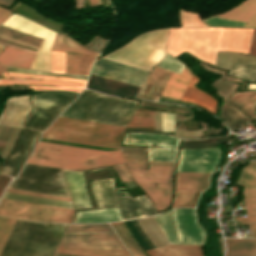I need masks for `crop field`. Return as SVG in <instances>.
I'll use <instances>...</instances> for the list:
<instances>
[{
    "instance_id": "8a807250",
    "label": "crop field",
    "mask_w": 256,
    "mask_h": 256,
    "mask_svg": "<svg viewBox=\"0 0 256 256\" xmlns=\"http://www.w3.org/2000/svg\"><path fill=\"white\" fill-rule=\"evenodd\" d=\"M253 29L175 28L171 29L167 52L177 57L188 51L214 65L217 50L247 53Z\"/></svg>"
},
{
    "instance_id": "ac0d7876",
    "label": "crop field",
    "mask_w": 256,
    "mask_h": 256,
    "mask_svg": "<svg viewBox=\"0 0 256 256\" xmlns=\"http://www.w3.org/2000/svg\"><path fill=\"white\" fill-rule=\"evenodd\" d=\"M30 163L79 170L124 163L120 150L103 151L38 142Z\"/></svg>"
},
{
    "instance_id": "34b2d1b8",
    "label": "crop field",
    "mask_w": 256,
    "mask_h": 256,
    "mask_svg": "<svg viewBox=\"0 0 256 256\" xmlns=\"http://www.w3.org/2000/svg\"><path fill=\"white\" fill-rule=\"evenodd\" d=\"M137 103L84 90L60 116L126 126Z\"/></svg>"
},
{
    "instance_id": "412701ff",
    "label": "crop field",
    "mask_w": 256,
    "mask_h": 256,
    "mask_svg": "<svg viewBox=\"0 0 256 256\" xmlns=\"http://www.w3.org/2000/svg\"><path fill=\"white\" fill-rule=\"evenodd\" d=\"M125 127L58 117L42 138L119 149Z\"/></svg>"
},
{
    "instance_id": "f4fd0767",
    "label": "crop field",
    "mask_w": 256,
    "mask_h": 256,
    "mask_svg": "<svg viewBox=\"0 0 256 256\" xmlns=\"http://www.w3.org/2000/svg\"><path fill=\"white\" fill-rule=\"evenodd\" d=\"M168 29L146 33L103 59L151 70L163 57Z\"/></svg>"
},
{
    "instance_id": "dd49c442",
    "label": "crop field",
    "mask_w": 256,
    "mask_h": 256,
    "mask_svg": "<svg viewBox=\"0 0 256 256\" xmlns=\"http://www.w3.org/2000/svg\"><path fill=\"white\" fill-rule=\"evenodd\" d=\"M11 189L69 197L61 169L25 164Z\"/></svg>"
},
{
    "instance_id": "e52e79f7",
    "label": "crop field",
    "mask_w": 256,
    "mask_h": 256,
    "mask_svg": "<svg viewBox=\"0 0 256 256\" xmlns=\"http://www.w3.org/2000/svg\"><path fill=\"white\" fill-rule=\"evenodd\" d=\"M172 213L179 242L170 211L154 215L170 244L202 245L204 234L203 229L197 224L195 210L176 209L172 210Z\"/></svg>"
},
{
    "instance_id": "d8731c3e",
    "label": "crop field",
    "mask_w": 256,
    "mask_h": 256,
    "mask_svg": "<svg viewBox=\"0 0 256 256\" xmlns=\"http://www.w3.org/2000/svg\"><path fill=\"white\" fill-rule=\"evenodd\" d=\"M73 214L74 210L70 208L5 199H2L0 202V215L2 216L46 222H71Z\"/></svg>"
},
{
    "instance_id": "5a996713",
    "label": "crop field",
    "mask_w": 256,
    "mask_h": 256,
    "mask_svg": "<svg viewBox=\"0 0 256 256\" xmlns=\"http://www.w3.org/2000/svg\"><path fill=\"white\" fill-rule=\"evenodd\" d=\"M2 25L44 39L30 68L51 71V46L55 31L42 27L17 14H12Z\"/></svg>"
},
{
    "instance_id": "3316defc",
    "label": "crop field",
    "mask_w": 256,
    "mask_h": 256,
    "mask_svg": "<svg viewBox=\"0 0 256 256\" xmlns=\"http://www.w3.org/2000/svg\"><path fill=\"white\" fill-rule=\"evenodd\" d=\"M128 167H142L129 169L135 181L159 182L172 184L174 167L149 165L147 171L146 155L122 153Z\"/></svg>"
},
{
    "instance_id": "28ad6ade",
    "label": "crop field",
    "mask_w": 256,
    "mask_h": 256,
    "mask_svg": "<svg viewBox=\"0 0 256 256\" xmlns=\"http://www.w3.org/2000/svg\"><path fill=\"white\" fill-rule=\"evenodd\" d=\"M226 103L239 108L242 112L255 118L256 91L234 94L226 101ZM221 118L231 129L242 124L244 121L249 120L247 116L226 104L221 107Z\"/></svg>"
},
{
    "instance_id": "d1516ede",
    "label": "crop field",
    "mask_w": 256,
    "mask_h": 256,
    "mask_svg": "<svg viewBox=\"0 0 256 256\" xmlns=\"http://www.w3.org/2000/svg\"><path fill=\"white\" fill-rule=\"evenodd\" d=\"M238 184L245 187L247 217H235L236 225H249L253 237H256V161L244 168Z\"/></svg>"
},
{
    "instance_id": "22f410ed",
    "label": "crop field",
    "mask_w": 256,
    "mask_h": 256,
    "mask_svg": "<svg viewBox=\"0 0 256 256\" xmlns=\"http://www.w3.org/2000/svg\"><path fill=\"white\" fill-rule=\"evenodd\" d=\"M219 159L218 148L180 150L176 171L212 172Z\"/></svg>"
},
{
    "instance_id": "cbeb9de0",
    "label": "crop field",
    "mask_w": 256,
    "mask_h": 256,
    "mask_svg": "<svg viewBox=\"0 0 256 256\" xmlns=\"http://www.w3.org/2000/svg\"><path fill=\"white\" fill-rule=\"evenodd\" d=\"M90 73L141 86L149 71L101 59L94 63Z\"/></svg>"
},
{
    "instance_id": "5142ce71",
    "label": "crop field",
    "mask_w": 256,
    "mask_h": 256,
    "mask_svg": "<svg viewBox=\"0 0 256 256\" xmlns=\"http://www.w3.org/2000/svg\"><path fill=\"white\" fill-rule=\"evenodd\" d=\"M34 111L23 126L44 131L56 117L67 107L66 105L34 98Z\"/></svg>"
},
{
    "instance_id": "d9b57169",
    "label": "crop field",
    "mask_w": 256,
    "mask_h": 256,
    "mask_svg": "<svg viewBox=\"0 0 256 256\" xmlns=\"http://www.w3.org/2000/svg\"><path fill=\"white\" fill-rule=\"evenodd\" d=\"M5 72L2 76H15V77H36V76H19V75H8ZM17 74V73H13ZM28 75V74H26ZM40 76V75H39ZM36 78H47V79H12L3 78L0 80V84H52L58 85L60 87H50V86H30L35 90L41 89H57V90H67V91H77L81 92L86 81L77 79H61V78H50V77H36Z\"/></svg>"
},
{
    "instance_id": "733c2abd",
    "label": "crop field",
    "mask_w": 256,
    "mask_h": 256,
    "mask_svg": "<svg viewBox=\"0 0 256 256\" xmlns=\"http://www.w3.org/2000/svg\"><path fill=\"white\" fill-rule=\"evenodd\" d=\"M6 106L0 115V123L21 126L31 111L30 96H17L8 98Z\"/></svg>"
},
{
    "instance_id": "4a817a6b",
    "label": "crop field",
    "mask_w": 256,
    "mask_h": 256,
    "mask_svg": "<svg viewBox=\"0 0 256 256\" xmlns=\"http://www.w3.org/2000/svg\"><path fill=\"white\" fill-rule=\"evenodd\" d=\"M52 50L66 51V73L76 74L81 53L97 56L61 33H56Z\"/></svg>"
},
{
    "instance_id": "bc2a9ffb",
    "label": "crop field",
    "mask_w": 256,
    "mask_h": 256,
    "mask_svg": "<svg viewBox=\"0 0 256 256\" xmlns=\"http://www.w3.org/2000/svg\"><path fill=\"white\" fill-rule=\"evenodd\" d=\"M117 197L124 219L142 218L155 214L154 207L146 196L137 197L144 207L139 202L129 197Z\"/></svg>"
},
{
    "instance_id": "214f88e0",
    "label": "crop field",
    "mask_w": 256,
    "mask_h": 256,
    "mask_svg": "<svg viewBox=\"0 0 256 256\" xmlns=\"http://www.w3.org/2000/svg\"><path fill=\"white\" fill-rule=\"evenodd\" d=\"M172 72L162 68L154 67L151 74L147 78L138 98L157 101L162 90L167 84ZM153 83L147 97L145 98L151 84Z\"/></svg>"
},
{
    "instance_id": "92a150f3",
    "label": "crop field",
    "mask_w": 256,
    "mask_h": 256,
    "mask_svg": "<svg viewBox=\"0 0 256 256\" xmlns=\"http://www.w3.org/2000/svg\"><path fill=\"white\" fill-rule=\"evenodd\" d=\"M176 139L169 135L149 133H125L124 144L148 145L159 144L167 148H176Z\"/></svg>"
},
{
    "instance_id": "dafd665d",
    "label": "crop field",
    "mask_w": 256,
    "mask_h": 256,
    "mask_svg": "<svg viewBox=\"0 0 256 256\" xmlns=\"http://www.w3.org/2000/svg\"><path fill=\"white\" fill-rule=\"evenodd\" d=\"M68 171H64V172H65L68 187L72 196L74 207L91 206L88 200L87 194L85 192L82 174L72 173V172H81V171H72V172H68ZM88 208H91V207H88ZM76 209H81V208H76Z\"/></svg>"
},
{
    "instance_id": "00972430",
    "label": "crop field",
    "mask_w": 256,
    "mask_h": 256,
    "mask_svg": "<svg viewBox=\"0 0 256 256\" xmlns=\"http://www.w3.org/2000/svg\"><path fill=\"white\" fill-rule=\"evenodd\" d=\"M210 173H177L175 191H203Z\"/></svg>"
},
{
    "instance_id": "a9b5d70f",
    "label": "crop field",
    "mask_w": 256,
    "mask_h": 256,
    "mask_svg": "<svg viewBox=\"0 0 256 256\" xmlns=\"http://www.w3.org/2000/svg\"><path fill=\"white\" fill-rule=\"evenodd\" d=\"M215 17L248 22L244 27H256V0H247L236 8Z\"/></svg>"
},
{
    "instance_id": "4177f3b9",
    "label": "crop field",
    "mask_w": 256,
    "mask_h": 256,
    "mask_svg": "<svg viewBox=\"0 0 256 256\" xmlns=\"http://www.w3.org/2000/svg\"><path fill=\"white\" fill-rule=\"evenodd\" d=\"M139 186L146 192V194L155 203L158 210H164L169 207L172 185L157 184V191L154 183L137 182ZM165 188V198L163 196Z\"/></svg>"
},
{
    "instance_id": "730fd06b",
    "label": "crop field",
    "mask_w": 256,
    "mask_h": 256,
    "mask_svg": "<svg viewBox=\"0 0 256 256\" xmlns=\"http://www.w3.org/2000/svg\"><path fill=\"white\" fill-rule=\"evenodd\" d=\"M93 193L99 207L118 206L113 189V179L92 181Z\"/></svg>"
},
{
    "instance_id": "eef30255",
    "label": "crop field",
    "mask_w": 256,
    "mask_h": 256,
    "mask_svg": "<svg viewBox=\"0 0 256 256\" xmlns=\"http://www.w3.org/2000/svg\"><path fill=\"white\" fill-rule=\"evenodd\" d=\"M231 75L256 81V57L245 54H236Z\"/></svg>"
},
{
    "instance_id": "ae1a2a85",
    "label": "crop field",
    "mask_w": 256,
    "mask_h": 256,
    "mask_svg": "<svg viewBox=\"0 0 256 256\" xmlns=\"http://www.w3.org/2000/svg\"><path fill=\"white\" fill-rule=\"evenodd\" d=\"M36 54L6 47L0 54V64L29 69Z\"/></svg>"
},
{
    "instance_id": "d3111659",
    "label": "crop field",
    "mask_w": 256,
    "mask_h": 256,
    "mask_svg": "<svg viewBox=\"0 0 256 256\" xmlns=\"http://www.w3.org/2000/svg\"><path fill=\"white\" fill-rule=\"evenodd\" d=\"M122 220L118 208L77 211L74 222H105Z\"/></svg>"
},
{
    "instance_id": "750c4746",
    "label": "crop field",
    "mask_w": 256,
    "mask_h": 256,
    "mask_svg": "<svg viewBox=\"0 0 256 256\" xmlns=\"http://www.w3.org/2000/svg\"><path fill=\"white\" fill-rule=\"evenodd\" d=\"M193 74L185 67L180 75L173 73L162 96L180 100L183 92L189 84Z\"/></svg>"
},
{
    "instance_id": "bd1437ed",
    "label": "crop field",
    "mask_w": 256,
    "mask_h": 256,
    "mask_svg": "<svg viewBox=\"0 0 256 256\" xmlns=\"http://www.w3.org/2000/svg\"><path fill=\"white\" fill-rule=\"evenodd\" d=\"M149 256H202L201 246L169 245L147 250Z\"/></svg>"
},
{
    "instance_id": "1d83c4d3",
    "label": "crop field",
    "mask_w": 256,
    "mask_h": 256,
    "mask_svg": "<svg viewBox=\"0 0 256 256\" xmlns=\"http://www.w3.org/2000/svg\"><path fill=\"white\" fill-rule=\"evenodd\" d=\"M198 80L193 76L190 84L188 85L186 91L184 92L181 100L198 104L209 111L215 113V102L213 98L206 95L205 93L199 91L193 86Z\"/></svg>"
},
{
    "instance_id": "120bbe31",
    "label": "crop field",
    "mask_w": 256,
    "mask_h": 256,
    "mask_svg": "<svg viewBox=\"0 0 256 256\" xmlns=\"http://www.w3.org/2000/svg\"><path fill=\"white\" fill-rule=\"evenodd\" d=\"M137 221L143 232L147 235L155 247L169 245L168 240L164 236L153 216Z\"/></svg>"
},
{
    "instance_id": "d32e631a",
    "label": "crop field",
    "mask_w": 256,
    "mask_h": 256,
    "mask_svg": "<svg viewBox=\"0 0 256 256\" xmlns=\"http://www.w3.org/2000/svg\"><path fill=\"white\" fill-rule=\"evenodd\" d=\"M228 253L256 254V240L252 239H225ZM251 254H227L226 256H256Z\"/></svg>"
},
{
    "instance_id": "5866460e",
    "label": "crop field",
    "mask_w": 256,
    "mask_h": 256,
    "mask_svg": "<svg viewBox=\"0 0 256 256\" xmlns=\"http://www.w3.org/2000/svg\"><path fill=\"white\" fill-rule=\"evenodd\" d=\"M59 246L126 250L120 240L61 242Z\"/></svg>"
},
{
    "instance_id": "028f5c9d",
    "label": "crop field",
    "mask_w": 256,
    "mask_h": 256,
    "mask_svg": "<svg viewBox=\"0 0 256 256\" xmlns=\"http://www.w3.org/2000/svg\"><path fill=\"white\" fill-rule=\"evenodd\" d=\"M57 252L82 256H130L127 251L59 247Z\"/></svg>"
},
{
    "instance_id": "e1f06a70",
    "label": "crop field",
    "mask_w": 256,
    "mask_h": 256,
    "mask_svg": "<svg viewBox=\"0 0 256 256\" xmlns=\"http://www.w3.org/2000/svg\"><path fill=\"white\" fill-rule=\"evenodd\" d=\"M134 256H146L123 222L110 223Z\"/></svg>"
},
{
    "instance_id": "0bd39190",
    "label": "crop field",
    "mask_w": 256,
    "mask_h": 256,
    "mask_svg": "<svg viewBox=\"0 0 256 256\" xmlns=\"http://www.w3.org/2000/svg\"><path fill=\"white\" fill-rule=\"evenodd\" d=\"M3 198L73 208L72 203L68 201L15 194V193H9V192H5Z\"/></svg>"
},
{
    "instance_id": "b80d0937",
    "label": "crop field",
    "mask_w": 256,
    "mask_h": 256,
    "mask_svg": "<svg viewBox=\"0 0 256 256\" xmlns=\"http://www.w3.org/2000/svg\"><path fill=\"white\" fill-rule=\"evenodd\" d=\"M77 233H114L107 223L91 224V225H76L70 224L65 234Z\"/></svg>"
},
{
    "instance_id": "c035e120",
    "label": "crop field",
    "mask_w": 256,
    "mask_h": 256,
    "mask_svg": "<svg viewBox=\"0 0 256 256\" xmlns=\"http://www.w3.org/2000/svg\"><path fill=\"white\" fill-rule=\"evenodd\" d=\"M78 95L79 93L67 91H46L34 97L69 105Z\"/></svg>"
},
{
    "instance_id": "c21b1889",
    "label": "crop field",
    "mask_w": 256,
    "mask_h": 256,
    "mask_svg": "<svg viewBox=\"0 0 256 256\" xmlns=\"http://www.w3.org/2000/svg\"><path fill=\"white\" fill-rule=\"evenodd\" d=\"M127 127H154L153 111L138 108Z\"/></svg>"
},
{
    "instance_id": "03da06ac",
    "label": "crop field",
    "mask_w": 256,
    "mask_h": 256,
    "mask_svg": "<svg viewBox=\"0 0 256 256\" xmlns=\"http://www.w3.org/2000/svg\"><path fill=\"white\" fill-rule=\"evenodd\" d=\"M200 192H175L172 207H195Z\"/></svg>"
},
{
    "instance_id": "b54c1fbb",
    "label": "crop field",
    "mask_w": 256,
    "mask_h": 256,
    "mask_svg": "<svg viewBox=\"0 0 256 256\" xmlns=\"http://www.w3.org/2000/svg\"><path fill=\"white\" fill-rule=\"evenodd\" d=\"M0 34L9 38L15 39L17 41L38 46V47L42 42V39L33 38L2 26H0Z\"/></svg>"
},
{
    "instance_id": "5d738f31",
    "label": "crop field",
    "mask_w": 256,
    "mask_h": 256,
    "mask_svg": "<svg viewBox=\"0 0 256 256\" xmlns=\"http://www.w3.org/2000/svg\"><path fill=\"white\" fill-rule=\"evenodd\" d=\"M148 160L175 162L177 150L173 149H149Z\"/></svg>"
},
{
    "instance_id": "d23c7cc5",
    "label": "crop field",
    "mask_w": 256,
    "mask_h": 256,
    "mask_svg": "<svg viewBox=\"0 0 256 256\" xmlns=\"http://www.w3.org/2000/svg\"><path fill=\"white\" fill-rule=\"evenodd\" d=\"M17 220L0 217V254Z\"/></svg>"
},
{
    "instance_id": "425ffa30",
    "label": "crop field",
    "mask_w": 256,
    "mask_h": 256,
    "mask_svg": "<svg viewBox=\"0 0 256 256\" xmlns=\"http://www.w3.org/2000/svg\"><path fill=\"white\" fill-rule=\"evenodd\" d=\"M119 239L116 234L64 235L62 241Z\"/></svg>"
},
{
    "instance_id": "25e5ab78",
    "label": "crop field",
    "mask_w": 256,
    "mask_h": 256,
    "mask_svg": "<svg viewBox=\"0 0 256 256\" xmlns=\"http://www.w3.org/2000/svg\"><path fill=\"white\" fill-rule=\"evenodd\" d=\"M155 118V129H156V112H154ZM161 122H162V131H164V122H165V131H174V115L164 113V122H163V113H161ZM161 122H160V113L157 112V130L161 131Z\"/></svg>"
},
{
    "instance_id": "73cf0c24",
    "label": "crop field",
    "mask_w": 256,
    "mask_h": 256,
    "mask_svg": "<svg viewBox=\"0 0 256 256\" xmlns=\"http://www.w3.org/2000/svg\"><path fill=\"white\" fill-rule=\"evenodd\" d=\"M180 19L183 27H200L204 25L196 14L180 11Z\"/></svg>"
},
{
    "instance_id": "89e229c0",
    "label": "crop field",
    "mask_w": 256,
    "mask_h": 256,
    "mask_svg": "<svg viewBox=\"0 0 256 256\" xmlns=\"http://www.w3.org/2000/svg\"><path fill=\"white\" fill-rule=\"evenodd\" d=\"M159 67L165 68L167 70L173 71L175 73L180 74L182 69L185 67L181 63H179L177 60L172 58L170 55L166 53L164 59L160 62L158 65Z\"/></svg>"
},
{
    "instance_id": "1f2cbd36",
    "label": "crop field",
    "mask_w": 256,
    "mask_h": 256,
    "mask_svg": "<svg viewBox=\"0 0 256 256\" xmlns=\"http://www.w3.org/2000/svg\"><path fill=\"white\" fill-rule=\"evenodd\" d=\"M52 71L65 73V52L52 51Z\"/></svg>"
},
{
    "instance_id": "dbb93151",
    "label": "crop field",
    "mask_w": 256,
    "mask_h": 256,
    "mask_svg": "<svg viewBox=\"0 0 256 256\" xmlns=\"http://www.w3.org/2000/svg\"><path fill=\"white\" fill-rule=\"evenodd\" d=\"M204 23L208 24L209 26H236V27H243L246 24L245 22L215 18V17H210L204 20Z\"/></svg>"
},
{
    "instance_id": "0fb4a251",
    "label": "crop field",
    "mask_w": 256,
    "mask_h": 256,
    "mask_svg": "<svg viewBox=\"0 0 256 256\" xmlns=\"http://www.w3.org/2000/svg\"><path fill=\"white\" fill-rule=\"evenodd\" d=\"M139 105L144 106V107L153 108V109H158V110H163V111H168V112H173V113L192 116L191 112L188 111V110H183V109H178V108H173V107H167V106H162V105H157V104H152V103H145V102H140Z\"/></svg>"
},
{
    "instance_id": "1d79db26",
    "label": "crop field",
    "mask_w": 256,
    "mask_h": 256,
    "mask_svg": "<svg viewBox=\"0 0 256 256\" xmlns=\"http://www.w3.org/2000/svg\"><path fill=\"white\" fill-rule=\"evenodd\" d=\"M94 59H95L94 56L82 54L80 62L78 64L77 74L87 75L90 69V65L94 61Z\"/></svg>"
},
{
    "instance_id": "9d1cf04e",
    "label": "crop field",
    "mask_w": 256,
    "mask_h": 256,
    "mask_svg": "<svg viewBox=\"0 0 256 256\" xmlns=\"http://www.w3.org/2000/svg\"><path fill=\"white\" fill-rule=\"evenodd\" d=\"M7 71L17 72V73H28V74H45V75L64 76V77H71V78H77V79H83V80H86V78H87V76H81V75L47 73V72H39V71H31V70H23V69H14V68H9Z\"/></svg>"
},
{
    "instance_id": "447ae74e",
    "label": "crop field",
    "mask_w": 256,
    "mask_h": 256,
    "mask_svg": "<svg viewBox=\"0 0 256 256\" xmlns=\"http://www.w3.org/2000/svg\"><path fill=\"white\" fill-rule=\"evenodd\" d=\"M227 52H218L217 60L215 66L222 67L224 66L225 58H226ZM234 53H228L226 63H225V69H230V66L233 61Z\"/></svg>"
},
{
    "instance_id": "0765c3eb",
    "label": "crop field",
    "mask_w": 256,
    "mask_h": 256,
    "mask_svg": "<svg viewBox=\"0 0 256 256\" xmlns=\"http://www.w3.org/2000/svg\"><path fill=\"white\" fill-rule=\"evenodd\" d=\"M20 130V127H13L12 131H11V134L8 138V141L4 147V150L1 152L0 156L2 158H5V156L8 154V152L10 151L11 147L13 146L14 144V141L18 135V132ZM7 157V156H6Z\"/></svg>"
},
{
    "instance_id": "db79e9e6",
    "label": "crop field",
    "mask_w": 256,
    "mask_h": 256,
    "mask_svg": "<svg viewBox=\"0 0 256 256\" xmlns=\"http://www.w3.org/2000/svg\"><path fill=\"white\" fill-rule=\"evenodd\" d=\"M112 168L118 172L122 182L132 180L127 168L125 167V165L114 166Z\"/></svg>"
},
{
    "instance_id": "7b73153f",
    "label": "crop field",
    "mask_w": 256,
    "mask_h": 256,
    "mask_svg": "<svg viewBox=\"0 0 256 256\" xmlns=\"http://www.w3.org/2000/svg\"><path fill=\"white\" fill-rule=\"evenodd\" d=\"M7 191L71 201V199L67 197H60V196H53V195H46V194H39V193H32V192H25V191L11 190V189H7Z\"/></svg>"
},
{
    "instance_id": "78b8030e",
    "label": "crop field",
    "mask_w": 256,
    "mask_h": 256,
    "mask_svg": "<svg viewBox=\"0 0 256 256\" xmlns=\"http://www.w3.org/2000/svg\"><path fill=\"white\" fill-rule=\"evenodd\" d=\"M224 77H225V76L222 75L221 78L215 80L214 83L212 84V86L217 89V87L219 86V84L221 83V81L224 79ZM226 84H227V82H225V81L223 80L222 83L220 84V86L218 87L217 91L221 92V90L224 88V86H225ZM229 85H230V82H228V84H227V85L225 86V88L222 90V93H224V91L227 89V87H228ZM231 85H232V83H231ZM231 85H230V86H231ZM230 86H229V87H230ZM229 87H228V89H229ZM228 89H227V90H228ZM227 90H226V91H227ZM226 91H225V93H226Z\"/></svg>"
},
{
    "instance_id": "0f1d7ab4",
    "label": "crop field",
    "mask_w": 256,
    "mask_h": 256,
    "mask_svg": "<svg viewBox=\"0 0 256 256\" xmlns=\"http://www.w3.org/2000/svg\"><path fill=\"white\" fill-rule=\"evenodd\" d=\"M175 135L178 137H188V138L201 136L199 130L197 131L177 130Z\"/></svg>"
},
{
    "instance_id": "e1d0b9f6",
    "label": "crop field",
    "mask_w": 256,
    "mask_h": 256,
    "mask_svg": "<svg viewBox=\"0 0 256 256\" xmlns=\"http://www.w3.org/2000/svg\"><path fill=\"white\" fill-rule=\"evenodd\" d=\"M122 152L145 154V148L121 146Z\"/></svg>"
},
{
    "instance_id": "ae633e8c",
    "label": "crop field",
    "mask_w": 256,
    "mask_h": 256,
    "mask_svg": "<svg viewBox=\"0 0 256 256\" xmlns=\"http://www.w3.org/2000/svg\"><path fill=\"white\" fill-rule=\"evenodd\" d=\"M249 54L256 55V29L253 31V37L249 48Z\"/></svg>"
},
{
    "instance_id": "d14b1444",
    "label": "crop field",
    "mask_w": 256,
    "mask_h": 256,
    "mask_svg": "<svg viewBox=\"0 0 256 256\" xmlns=\"http://www.w3.org/2000/svg\"><path fill=\"white\" fill-rule=\"evenodd\" d=\"M11 129H12V128H10V127L4 126V128H3V130H2L1 133L8 136L9 133H10V131H11ZM2 134L0 135V143L4 145L8 137H7V136H4V135H2Z\"/></svg>"
},
{
    "instance_id": "c39391a2",
    "label": "crop field",
    "mask_w": 256,
    "mask_h": 256,
    "mask_svg": "<svg viewBox=\"0 0 256 256\" xmlns=\"http://www.w3.org/2000/svg\"><path fill=\"white\" fill-rule=\"evenodd\" d=\"M12 14V12L7 11L3 8L0 7V24L6 20L10 15Z\"/></svg>"
},
{
    "instance_id": "ade564c9",
    "label": "crop field",
    "mask_w": 256,
    "mask_h": 256,
    "mask_svg": "<svg viewBox=\"0 0 256 256\" xmlns=\"http://www.w3.org/2000/svg\"><path fill=\"white\" fill-rule=\"evenodd\" d=\"M149 164L174 166L175 163L148 161Z\"/></svg>"
},
{
    "instance_id": "c5b07064",
    "label": "crop field",
    "mask_w": 256,
    "mask_h": 256,
    "mask_svg": "<svg viewBox=\"0 0 256 256\" xmlns=\"http://www.w3.org/2000/svg\"><path fill=\"white\" fill-rule=\"evenodd\" d=\"M12 1L13 0H0V5L8 8Z\"/></svg>"
},
{
    "instance_id": "c3a83c6f",
    "label": "crop field",
    "mask_w": 256,
    "mask_h": 256,
    "mask_svg": "<svg viewBox=\"0 0 256 256\" xmlns=\"http://www.w3.org/2000/svg\"><path fill=\"white\" fill-rule=\"evenodd\" d=\"M90 6H97L96 0H90Z\"/></svg>"
},
{
    "instance_id": "fb207236",
    "label": "crop field",
    "mask_w": 256,
    "mask_h": 256,
    "mask_svg": "<svg viewBox=\"0 0 256 256\" xmlns=\"http://www.w3.org/2000/svg\"><path fill=\"white\" fill-rule=\"evenodd\" d=\"M7 68L0 66V75L6 71Z\"/></svg>"
},
{
    "instance_id": "7312dd0a",
    "label": "crop field",
    "mask_w": 256,
    "mask_h": 256,
    "mask_svg": "<svg viewBox=\"0 0 256 256\" xmlns=\"http://www.w3.org/2000/svg\"><path fill=\"white\" fill-rule=\"evenodd\" d=\"M55 256H72V255H66V254H59V253H56Z\"/></svg>"
},
{
    "instance_id": "180be81f",
    "label": "crop field",
    "mask_w": 256,
    "mask_h": 256,
    "mask_svg": "<svg viewBox=\"0 0 256 256\" xmlns=\"http://www.w3.org/2000/svg\"><path fill=\"white\" fill-rule=\"evenodd\" d=\"M2 128H3V126H2V125H0V132H1Z\"/></svg>"
}]
</instances>
